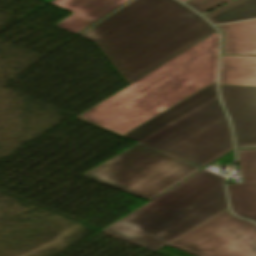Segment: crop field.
Returning a JSON list of instances; mask_svg holds the SVG:
<instances>
[{"mask_svg": "<svg viewBox=\"0 0 256 256\" xmlns=\"http://www.w3.org/2000/svg\"><path fill=\"white\" fill-rule=\"evenodd\" d=\"M205 21L175 0H132L79 36L94 41L130 84L214 33Z\"/></svg>", "mask_w": 256, "mask_h": 256, "instance_id": "obj_1", "label": "crop field"}, {"mask_svg": "<svg viewBox=\"0 0 256 256\" xmlns=\"http://www.w3.org/2000/svg\"><path fill=\"white\" fill-rule=\"evenodd\" d=\"M219 34L144 76L79 118L121 135L216 80Z\"/></svg>", "mask_w": 256, "mask_h": 256, "instance_id": "obj_2", "label": "crop field"}, {"mask_svg": "<svg viewBox=\"0 0 256 256\" xmlns=\"http://www.w3.org/2000/svg\"><path fill=\"white\" fill-rule=\"evenodd\" d=\"M224 180L203 170L103 231L155 252L227 208Z\"/></svg>", "mask_w": 256, "mask_h": 256, "instance_id": "obj_3", "label": "crop field"}, {"mask_svg": "<svg viewBox=\"0 0 256 256\" xmlns=\"http://www.w3.org/2000/svg\"><path fill=\"white\" fill-rule=\"evenodd\" d=\"M200 169L138 143L83 176L150 200Z\"/></svg>", "mask_w": 256, "mask_h": 256, "instance_id": "obj_4", "label": "crop field"}, {"mask_svg": "<svg viewBox=\"0 0 256 256\" xmlns=\"http://www.w3.org/2000/svg\"><path fill=\"white\" fill-rule=\"evenodd\" d=\"M141 142L198 166L233 146L227 117L217 97Z\"/></svg>", "mask_w": 256, "mask_h": 256, "instance_id": "obj_5", "label": "crop field"}, {"mask_svg": "<svg viewBox=\"0 0 256 256\" xmlns=\"http://www.w3.org/2000/svg\"><path fill=\"white\" fill-rule=\"evenodd\" d=\"M169 244L200 256H256V225L227 208Z\"/></svg>", "mask_w": 256, "mask_h": 256, "instance_id": "obj_6", "label": "crop field"}, {"mask_svg": "<svg viewBox=\"0 0 256 256\" xmlns=\"http://www.w3.org/2000/svg\"><path fill=\"white\" fill-rule=\"evenodd\" d=\"M229 112L237 149L256 148V87L220 85Z\"/></svg>", "mask_w": 256, "mask_h": 256, "instance_id": "obj_7", "label": "crop field"}, {"mask_svg": "<svg viewBox=\"0 0 256 256\" xmlns=\"http://www.w3.org/2000/svg\"><path fill=\"white\" fill-rule=\"evenodd\" d=\"M238 152L244 184L227 185L232 211L256 221V149Z\"/></svg>", "mask_w": 256, "mask_h": 256, "instance_id": "obj_8", "label": "crop field"}, {"mask_svg": "<svg viewBox=\"0 0 256 256\" xmlns=\"http://www.w3.org/2000/svg\"><path fill=\"white\" fill-rule=\"evenodd\" d=\"M128 0H54L51 3L73 14L55 26L79 33Z\"/></svg>", "mask_w": 256, "mask_h": 256, "instance_id": "obj_9", "label": "crop field"}, {"mask_svg": "<svg viewBox=\"0 0 256 256\" xmlns=\"http://www.w3.org/2000/svg\"><path fill=\"white\" fill-rule=\"evenodd\" d=\"M215 96L214 83L124 136L139 142Z\"/></svg>", "mask_w": 256, "mask_h": 256, "instance_id": "obj_10", "label": "crop field"}, {"mask_svg": "<svg viewBox=\"0 0 256 256\" xmlns=\"http://www.w3.org/2000/svg\"><path fill=\"white\" fill-rule=\"evenodd\" d=\"M224 32L222 54H256V20L219 25Z\"/></svg>", "mask_w": 256, "mask_h": 256, "instance_id": "obj_11", "label": "crop field"}, {"mask_svg": "<svg viewBox=\"0 0 256 256\" xmlns=\"http://www.w3.org/2000/svg\"><path fill=\"white\" fill-rule=\"evenodd\" d=\"M219 84L256 86V57L222 56Z\"/></svg>", "mask_w": 256, "mask_h": 256, "instance_id": "obj_12", "label": "crop field"}, {"mask_svg": "<svg viewBox=\"0 0 256 256\" xmlns=\"http://www.w3.org/2000/svg\"><path fill=\"white\" fill-rule=\"evenodd\" d=\"M256 17V0H246L207 19L213 24Z\"/></svg>", "mask_w": 256, "mask_h": 256, "instance_id": "obj_13", "label": "crop field"}, {"mask_svg": "<svg viewBox=\"0 0 256 256\" xmlns=\"http://www.w3.org/2000/svg\"><path fill=\"white\" fill-rule=\"evenodd\" d=\"M231 0H192L186 4L198 10L201 14L213 8L221 6Z\"/></svg>", "mask_w": 256, "mask_h": 256, "instance_id": "obj_14", "label": "crop field"}, {"mask_svg": "<svg viewBox=\"0 0 256 256\" xmlns=\"http://www.w3.org/2000/svg\"><path fill=\"white\" fill-rule=\"evenodd\" d=\"M242 1H244V0H236V1L232 2V3H230V4H227V5H225V6L221 7V8H218V9H216V10H214V11H212V12H210V13L204 15V16L208 17V16H211V15H214V14H216V13H218V12L224 10V9H227V8L237 4V3H240Z\"/></svg>", "mask_w": 256, "mask_h": 256, "instance_id": "obj_15", "label": "crop field"}, {"mask_svg": "<svg viewBox=\"0 0 256 256\" xmlns=\"http://www.w3.org/2000/svg\"><path fill=\"white\" fill-rule=\"evenodd\" d=\"M232 150V148H230L229 150L225 151L224 153L220 154L219 156L215 157L214 159L210 160L209 162L205 163L204 165L200 166V167H205L208 164H210L211 162H213L214 160L224 156L225 154H227L228 152H230Z\"/></svg>", "mask_w": 256, "mask_h": 256, "instance_id": "obj_16", "label": "crop field"}, {"mask_svg": "<svg viewBox=\"0 0 256 256\" xmlns=\"http://www.w3.org/2000/svg\"><path fill=\"white\" fill-rule=\"evenodd\" d=\"M180 1L184 2V1H186V0H180Z\"/></svg>", "mask_w": 256, "mask_h": 256, "instance_id": "obj_17", "label": "crop field"}]
</instances>
